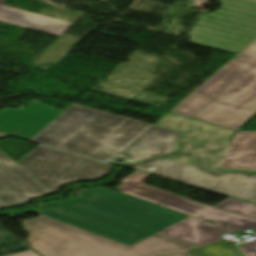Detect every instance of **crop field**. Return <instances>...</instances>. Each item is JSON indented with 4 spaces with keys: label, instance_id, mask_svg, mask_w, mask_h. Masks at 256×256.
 Segmentation results:
<instances>
[{
    "label": "crop field",
    "instance_id": "crop-field-1",
    "mask_svg": "<svg viewBox=\"0 0 256 256\" xmlns=\"http://www.w3.org/2000/svg\"><path fill=\"white\" fill-rule=\"evenodd\" d=\"M39 206L41 215L128 246L188 217L102 188L85 189L69 202Z\"/></svg>",
    "mask_w": 256,
    "mask_h": 256
},
{
    "label": "crop field",
    "instance_id": "crop-field-2",
    "mask_svg": "<svg viewBox=\"0 0 256 256\" xmlns=\"http://www.w3.org/2000/svg\"><path fill=\"white\" fill-rule=\"evenodd\" d=\"M170 112L239 131L256 115V39Z\"/></svg>",
    "mask_w": 256,
    "mask_h": 256
},
{
    "label": "crop field",
    "instance_id": "crop-field-3",
    "mask_svg": "<svg viewBox=\"0 0 256 256\" xmlns=\"http://www.w3.org/2000/svg\"><path fill=\"white\" fill-rule=\"evenodd\" d=\"M151 126L73 104L31 141L110 162Z\"/></svg>",
    "mask_w": 256,
    "mask_h": 256
},
{
    "label": "crop field",
    "instance_id": "crop-field-4",
    "mask_svg": "<svg viewBox=\"0 0 256 256\" xmlns=\"http://www.w3.org/2000/svg\"><path fill=\"white\" fill-rule=\"evenodd\" d=\"M24 224L35 226L26 227L27 243L42 256H151L194 248L159 234L128 247L45 216Z\"/></svg>",
    "mask_w": 256,
    "mask_h": 256
},
{
    "label": "crop field",
    "instance_id": "crop-field-5",
    "mask_svg": "<svg viewBox=\"0 0 256 256\" xmlns=\"http://www.w3.org/2000/svg\"><path fill=\"white\" fill-rule=\"evenodd\" d=\"M146 165L156 169L151 171L141 165L130 168L252 204L256 202V175L212 174L197 168V159L186 155L169 156Z\"/></svg>",
    "mask_w": 256,
    "mask_h": 256
},
{
    "label": "crop field",
    "instance_id": "crop-field-6",
    "mask_svg": "<svg viewBox=\"0 0 256 256\" xmlns=\"http://www.w3.org/2000/svg\"><path fill=\"white\" fill-rule=\"evenodd\" d=\"M220 2V9L200 16L191 30L190 38L195 42L239 52L256 37V2ZM230 22L234 25L229 24Z\"/></svg>",
    "mask_w": 256,
    "mask_h": 256
},
{
    "label": "crop field",
    "instance_id": "crop-field-7",
    "mask_svg": "<svg viewBox=\"0 0 256 256\" xmlns=\"http://www.w3.org/2000/svg\"><path fill=\"white\" fill-rule=\"evenodd\" d=\"M17 163L54 193L70 183L102 179L112 169L109 164L42 145Z\"/></svg>",
    "mask_w": 256,
    "mask_h": 256
},
{
    "label": "crop field",
    "instance_id": "crop-field-8",
    "mask_svg": "<svg viewBox=\"0 0 256 256\" xmlns=\"http://www.w3.org/2000/svg\"><path fill=\"white\" fill-rule=\"evenodd\" d=\"M153 175L133 172L122 180L116 189L123 193L153 202L183 214L226 227L244 231L246 228L256 229V220L214 209L208 205L170 193L154 186L143 184Z\"/></svg>",
    "mask_w": 256,
    "mask_h": 256
},
{
    "label": "crop field",
    "instance_id": "crop-field-9",
    "mask_svg": "<svg viewBox=\"0 0 256 256\" xmlns=\"http://www.w3.org/2000/svg\"><path fill=\"white\" fill-rule=\"evenodd\" d=\"M164 126L184 131L180 143L181 150L199 156L202 160L203 169L214 173H256V171L220 169V165L232 139V134L235 131L177 115Z\"/></svg>",
    "mask_w": 256,
    "mask_h": 256
},
{
    "label": "crop field",
    "instance_id": "crop-field-10",
    "mask_svg": "<svg viewBox=\"0 0 256 256\" xmlns=\"http://www.w3.org/2000/svg\"><path fill=\"white\" fill-rule=\"evenodd\" d=\"M53 194L0 150V209Z\"/></svg>",
    "mask_w": 256,
    "mask_h": 256
},
{
    "label": "crop field",
    "instance_id": "crop-field-11",
    "mask_svg": "<svg viewBox=\"0 0 256 256\" xmlns=\"http://www.w3.org/2000/svg\"><path fill=\"white\" fill-rule=\"evenodd\" d=\"M63 112L35 102L25 110L0 113V132L30 140Z\"/></svg>",
    "mask_w": 256,
    "mask_h": 256
},
{
    "label": "crop field",
    "instance_id": "crop-field-12",
    "mask_svg": "<svg viewBox=\"0 0 256 256\" xmlns=\"http://www.w3.org/2000/svg\"><path fill=\"white\" fill-rule=\"evenodd\" d=\"M180 135V132L153 125L122 152L130 161L139 162L152 152L169 153L177 150Z\"/></svg>",
    "mask_w": 256,
    "mask_h": 256
},
{
    "label": "crop field",
    "instance_id": "crop-field-13",
    "mask_svg": "<svg viewBox=\"0 0 256 256\" xmlns=\"http://www.w3.org/2000/svg\"><path fill=\"white\" fill-rule=\"evenodd\" d=\"M0 0V21L60 37L74 23L54 19L33 12L2 5Z\"/></svg>",
    "mask_w": 256,
    "mask_h": 256
},
{
    "label": "crop field",
    "instance_id": "crop-field-14",
    "mask_svg": "<svg viewBox=\"0 0 256 256\" xmlns=\"http://www.w3.org/2000/svg\"><path fill=\"white\" fill-rule=\"evenodd\" d=\"M223 232L233 233L235 231L189 217L159 233L200 246L220 240Z\"/></svg>",
    "mask_w": 256,
    "mask_h": 256
},
{
    "label": "crop field",
    "instance_id": "crop-field-15",
    "mask_svg": "<svg viewBox=\"0 0 256 256\" xmlns=\"http://www.w3.org/2000/svg\"><path fill=\"white\" fill-rule=\"evenodd\" d=\"M221 168L256 170V132H238Z\"/></svg>",
    "mask_w": 256,
    "mask_h": 256
},
{
    "label": "crop field",
    "instance_id": "crop-field-16",
    "mask_svg": "<svg viewBox=\"0 0 256 256\" xmlns=\"http://www.w3.org/2000/svg\"><path fill=\"white\" fill-rule=\"evenodd\" d=\"M193 256H244L235 246L226 248L221 241L193 250H189Z\"/></svg>",
    "mask_w": 256,
    "mask_h": 256
},
{
    "label": "crop field",
    "instance_id": "crop-field-17",
    "mask_svg": "<svg viewBox=\"0 0 256 256\" xmlns=\"http://www.w3.org/2000/svg\"><path fill=\"white\" fill-rule=\"evenodd\" d=\"M30 250L28 246L0 225V256Z\"/></svg>",
    "mask_w": 256,
    "mask_h": 256
},
{
    "label": "crop field",
    "instance_id": "crop-field-18",
    "mask_svg": "<svg viewBox=\"0 0 256 256\" xmlns=\"http://www.w3.org/2000/svg\"><path fill=\"white\" fill-rule=\"evenodd\" d=\"M214 207L222 208L225 210L237 212L240 214H244V215L256 218V205L245 203V202L235 200L232 198H229V199L215 205Z\"/></svg>",
    "mask_w": 256,
    "mask_h": 256
},
{
    "label": "crop field",
    "instance_id": "crop-field-19",
    "mask_svg": "<svg viewBox=\"0 0 256 256\" xmlns=\"http://www.w3.org/2000/svg\"><path fill=\"white\" fill-rule=\"evenodd\" d=\"M238 247L248 256H256V239L244 244H240Z\"/></svg>",
    "mask_w": 256,
    "mask_h": 256
},
{
    "label": "crop field",
    "instance_id": "crop-field-20",
    "mask_svg": "<svg viewBox=\"0 0 256 256\" xmlns=\"http://www.w3.org/2000/svg\"><path fill=\"white\" fill-rule=\"evenodd\" d=\"M157 256H192L188 251L181 252V253H168V254H162Z\"/></svg>",
    "mask_w": 256,
    "mask_h": 256
},
{
    "label": "crop field",
    "instance_id": "crop-field-21",
    "mask_svg": "<svg viewBox=\"0 0 256 256\" xmlns=\"http://www.w3.org/2000/svg\"><path fill=\"white\" fill-rule=\"evenodd\" d=\"M10 256H39V255L36 254L34 251L30 250V251H26V252L10 255Z\"/></svg>",
    "mask_w": 256,
    "mask_h": 256
},
{
    "label": "crop field",
    "instance_id": "crop-field-22",
    "mask_svg": "<svg viewBox=\"0 0 256 256\" xmlns=\"http://www.w3.org/2000/svg\"><path fill=\"white\" fill-rule=\"evenodd\" d=\"M173 116H174V114L168 113V114L158 123V125L163 126V125H164L168 120H170Z\"/></svg>",
    "mask_w": 256,
    "mask_h": 256
},
{
    "label": "crop field",
    "instance_id": "crop-field-23",
    "mask_svg": "<svg viewBox=\"0 0 256 256\" xmlns=\"http://www.w3.org/2000/svg\"><path fill=\"white\" fill-rule=\"evenodd\" d=\"M5 136H9V135L0 133V137H5Z\"/></svg>",
    "mask_w": 256,
    "mask_h": 256
},
{
    "label": "crop field",
    "instance_id": "crop-field-24",
    "mask_svg": "<svg viewBox=\"0 0 256 256\" xmlns=\"http://www.w3.org/2000/svg\"><path fill=\"white\" fill-rule=\"evenodd\" d=\"M252 1H256V0H252Z\"/></svg>",
    "mask_w": 256,
    "mask_h": 256
}]
</instances>
